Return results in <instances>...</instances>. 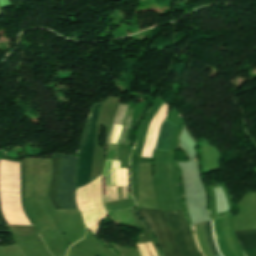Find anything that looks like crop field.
Segmentation results:
<instances>
[{"mask_svg":"<svg viewBox=\"0 0 256 256\" xmlns=\"http://www.w3.org/2000/svg\"><path fill=\"white\" fill-rule=\"evenodd\" d=\"M195 232H196V236H197V239H198V242H199V245H200V248L201 250L203 251V253L206 255V256H212L208 250V247H207V244L205 242V233H204V229H203V224H200V225H197V226H194L193 227ZM192 228V229H193ZM193 230V232H194ZM194 232V234H195ZM199 248V249H200ZM200 250V251H201ZM202 253V252H201ZM202 253V254H203ZM203 254V256H204Z\"/></svg>","mask_w":256,"mask_h":256,"instance_id":"8","label":"crop field"},{"mask_svg":"<svg viewBox=\"0 0 256 256\" xmlns=\"http://www.w3.org/2000/svg\"><path fill=\"white\" fill-rule=\"evenodd\" d=\"M175 127L176 125L164 120L160 128V132L157 140V145H156L157 150H162L167 152L170 151Z\"/></svg>","mask_w":256,"mask_h":256,"instance_id":"6","label":"crop field"},{"mask_svg":"<svg viewBox=\"0 0 256 256\" xmlns=\"http://www.w3.org/2000/svg\"><path fill=\"white\" fill-rule=\"evenodd\" d=\"M77 159L61 156V176L58 196L64 209L77 208L75 203V173Z\"/></svg>","mask_w":256,"mask_h":256,"instance_id":"3","label":"crop field"},{"mask_svg":"<svg viewBox=\"0 0 256 256\" xmlns=\"http://www.w3.org/2000/svg\"><path fill=\"white\" fill-rule=\"evenodd\" d=\"M139 213L156 234L164 255L182 256L163 212L139 211Z\"/></svg>","mask_w":256,"mask_h":256,"instance_id":"2","label":"crop field"},{"mask_svg":"<svg viewBox=\"0 0 256 256\" xmlns=\"http://www.w3.org/2000/svg\"><path fill=\"white\" fill-rule=\"evenodd\" d=\"M52 177L48 190V195L55 209H63L57 196V187L60 175V156H53L52 158Z\"/></svg>","mask_w":256,"mask_h":256,"instance_id":"5","label":"crop field"},{"mask_svg":"<svg viewBox=\"0 0 256 256\" xmlns=\"http://www.w3.org/2000/svg\"><path fill=\"white\" fill-rule=\"evenodd\" d=\"M247 256H256V230L234 232Z\"/></svg>","mask_w":256,"mask_h":256,"instance_id":"7","label":"crop field"},{"mask_svg":"<svg viewBox=\"0 0 256 256\" xmlns=\"http://www.w3.org/2000/svg\"><path fill=\"white\" fill-rule=\"evenodd\" d=\"M100 105L101 104L91 107L89 117L84 128L78 161L79 167L77 174V188L91 182L96 141L99 129L97 116Z\"/></svg>","mask_w":256,"mask_h":256,"instance_id":"1","label":"crop field"},{"mask_svg":"<svg viewBox=\"0 0 256 256\" xmlns=\"http://www.w3.org/2000/svg\"><path fill=\"white\" fill-rule=\"evenodd\" d=\"M183 256H199L181 212H164Z\"/></svg>","mask_w":256,"mask_h":256,"instance_id":"4","label":"crop field"},{"mask_svg":"<svg viewBox=\"0 0 256 256\" xmlns=\"http://www.w3.org/2000/svg\"><path fill=\"white\" fill-rule=\"evenodd\" d=\"M20 166V199H21V205H22V209L26 215V217L28 218L29 222L31 223V225L33 224V222L31 221V219L29 218L26 209L24 207V199H23V192H22V187H23V174H22V163H19ZM0 224H5L1 212H0Z\"/></svg>","mask_w":256,"mask_h":256,"instance_id":"9","label":"crop field"}]
</instances>
